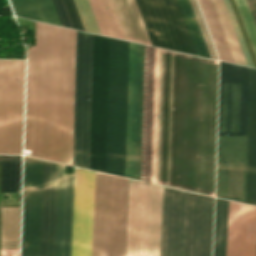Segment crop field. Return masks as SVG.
<instances>
[{
  "label": "crop field",
  "instance_id": "5a996713",
  "mask_svg": "<svg viewBox=\"0 0 256 256\" xmlns=\"http://www.w3.org/2000/svg\"><path fill=\"white\" fill-rule=\"evenodd\" d=\"M163 187L130 179L126 256H159Z\"/></svg>",
  "mask_w": 256,
  "mask_h": 256
},
{
  "label": "crop field",
  "instance_id": "cbeb9de0",
  "mask_svg": "<svg viewBox=\"0 0 256 256\" xmlns=\"http://www.w3.org/2000/svg\"><path fill=\"white\" fill-rule=\"evenodd\" d=\"M92 34L77 31L73 165L88 169Z\"/></svg>",
  "mask_w": 256,
  "mask_h": 256
},
{
  "label": "crop field",
  "instance_id": "730fd06b",
  "mask_svg": "<svg viewBox=\"0 0 256 256\" xmlns=\"http://www.w3.org/2000/svg\"><path fill=\"white\" fill-rule=\"evenodd\" d=\"M256 55V28L245 0H235Z\"/></svg>",
  "mask_w": 256,
  "mask_h": 256
},
{
  "label": "crop field",
  "instance_id": "d8731c3e",
  "mask_svg": "<svg viewBox=\"0 0 256 256\" xmlns=\"http://www.w3.org/2000/svg\"><path fill=\"white\" fill-rule=\"evenodd\" d=\"M128 42L110 38L106 172L124 177Z\"/></svg>",
  "mask_w": 256,
  "mask_h": 256
},
{
  "label": "crop field",
  "instance_id": "dd49c442",
  "mask_svg": "<svg viewBox=\"0 0 256 256\" xmlns=\"http://www.w3.org/2000/svg\"><path fill=\"white\" fill-rule=\"evenodd\" d=\"M152 44L209 57L188 0H136Z\"/></svg>",
  "mask_w": 256,
  "mask_h": 256
},
{
  "label": "crop field",
  "instance_id": "e52e79f7",
  "mask_svg": "<svg viewBox=\"0 0 256 256\" xmlns=\"http://www.w3.org/2000/svg\"><path fill=\"white\" fill-rule=\"evenodd\" d=\"M129 179L96 172L92 256H125Z\"/></svg>",
  "mask_w": 256,
  "mask_h": 256
},
{
  "label": "crop field",
  "instance_id": "4a817a6b",
  "mask_svg": "<svg viewBox=\"0 0 256 256\" xmlns=\"http://www.w3.org/2000/svg\"><path fill=\"white\" fill-rule=\"evenodd\" d=\"M74 3L85 31L124 39L109 0H89L101 33L88 0H74Z\"/></svg>",
  "mask_w": 256,
  "mask_h": 256
},
{
  "label": "crop field",
  "instance_id": "92a150f3",
  "mask_svg": "<svg viewBox=\"0 0 256 256\" xmlns=\"http://www.w3.org/2000/svg\"><path fill=\"white\" fill-rule=\"evenodd\" d=\"M19 17L60 25L51 0H11Z\"/></svg>",
  "mask_w": 256,
  "mask_h": 256
},
{
  "label": "crop field",
  "instance_id": "00972430",
  "mask_svg": "<svg viewBox=\"0 0 256 256\" xmlns=\"http://www.w3.org/2000/svg\"><path fill=\"white\" fill-rule=\"evenodd\" d=\"M212 1L215 6L216 12L218 14L219 20L221 22L222 28L224 30L225 36L227 38V41L230 46L235 62L238 64L248 66L245 60L244 54L242 52L241 46L239 44L238 38L236 36L235 30L233 28L232 22L230 20L229 14L227 12L224 1L223 0H212Z\"/></svg>",
  "mask_w": 256,
  "mask_h": 256
},
{
  "label": "crop field",
  "instance_id": "eef30255",
  "mask_svg": "<svg viewBox=\"0 0 256 256\" xmlns=\"http://www.w3.org/2000/svg\"><path fill=\"white\" fill-rule=\"evenodd\" d=\"M191 7L193 9L194 15L196 17L197 23L199 25L200 31L202 33L203 39L205 41L206 47L208 49L209 55L212 59H216V56L214 54L213 48L211 46L210 40L208 38L207 32L205 30L204 24L202 22L201 16L199 14L198 8L196 6L195 0H189ZM217 60V59H216Z\"/></svg>",
  "mask_w": 256,
  "mask_h": 256
},
{
  "label": "crop field",
  "instance_id": "dafd665d",
  "mask_svg": "<svg viewBox=\"0 0 256 256\" xmlns=\"http://www.w3.org/2000/svg\"><path fill=\"white\" fill-rule=\"evenodd\" d=\"M218 51L223 61L234 62L211 0H198Z\"/></svg>",
  "mask_w": 256,
  "mask_h": 256
},
{
  "label": "crop field",
  "instance_id": "412701ff",
  "mask_svg": "<svg viewBox=\"0 0 256 256\" xmlns=\"http://www.w3.org/2000/svg\"><path fill=\"white\" fill-rule=\"evenodd\" d=\"M249 68L221 62L217 196L245 203ZM226 133H229L228 136Z\"/></svg>",
  "mask_w": 256,
  "mask_h": 256
},
{
  "label": "crop field",
  "instance_id": "4177f3b9",
  "mask_svg": "<svg viewBox=\"0 0 256 256\" xmlns=\"http://www.w3.org/2000/svg\"><path fill=\"white\" fill-rule=\"evenodd\" d=\"M53 3L62 26L84 31L72 0H53Z\"/></svg>",
  "mask_w": 256,
  "mask_h": 256
},
{
  "label": "crop field",
  "instance_id": "d1516ede",
  "mask_svg": "<svg viewBox=\"0 0 256 256\" xmlns=\"http://www.w3.org/2000/svg\"><path fill=\"white\" fill-rule=\"evenodd\" d=\"M160 49L145 45L141 180L156 183Z\"/></svg>",
  "mask_w": 256,
  "mask_h": 256
},
{
  "label": "crop field",
  "instance_id": "3316defc",
  "mask_svg": "<svg viewBox=\"0 0 256 256\" xmlns=\"http://www.w3.org/2000/svg\"><path fill=\"white\" fill-rule=\"evenodd\" d=\"M109 38L93 34L89 169L105 172Z\"/></svg>",
  "mask_w": 256,
  "mask_h": 256
},
{
  "label": "crop field",
  "instance_id": "a9b5d70f",
  "mask_svg": "<svg viewBox=\"0 0 256 256\" xmlns=\"http://www.w3.org/2000/svg\"><path fill=\"white\" fill-rule=\"evenodd\" d=\"M228 201L217 198L214 256H225Z\"/></svg>",
  "mask_w": 256,
  "mask_h": 256
},
{
  "label": "crop field",
  "instance_id": "ae1a2a85",
  "mask_svg": "<svg viewBox=\"0 0 256 256\" xmlns=\"http://www.w3.org/2000/svg\"><path fill=\"white\" fill-rule=\"evenodd\" d=\"M256 25V0H246Z\"/></svg>",
  "mask_w": 256,
  "mask_h": 256
},
{
  "label": "crop field",
  "instance_id": "bc2a9ffb",
  "mask_svg": "<svg viewBox=\"0 0 256 256\" xmlns=\"http://www.w3.org/2000/svg\"><path fill=\"white\" fill-rule=\"evenodd\" d=\"M250 68L246 203L256 205V69Z\"/></svg>",
  "mask_w": 256,
  "mask_h": 256
},
{
  "label": "crop field",
  "instance_id": "34b2d1b8",
  "mask_svg": "<svg viewBox=\"0 0 256 256\" xmlns=\"http://www.w3.org/2000/svg\"><path fill=\"white\" fill-rule=\"evenodd\" d=\"M65 165L25 157L23 194L22 256H38L41 189L43 190L39 256H70L74 174H65Z\"/></svg>",
  "mask_w": 256,
  "mask_h": 256
},
{
  "label": "crop field",
  "instance_id": "f4fd0767",
  "mask_svg": "<svg viewBox=\"0 0 256 256\" xmlns=\"http://www.w3.org/2000/svg\"><path fill=\"white\" fill-rule=\"evenodd\" d=\"M214 198L164 187L160 256H211Z\"/></svg>",
  "mask_w": 256,
  "mask_h": 256
},
{
  "label": "crop field",
  "instance_id": "28ad6ade",
  "mask_svg": "<svg viewBox=\"0 0 256 256\" xmlns=\"http://www.w3.org/2000/svg\"><path fill=\"white\" fill-rule=\"evenodd\" d=\"M23 76L24 61L0 60V153L21 154Z\"/></svg>",
  "mask_w": 256,
  "mask_h": 256
},
{
  "label": "crop field",
  "instance_id": "d9b57169",
  "mask_svg": "<svg viewBox=\"0 0 256 256\" xmlns=\"http://www.w3.org/2000/svg\"><path fill=\"white\" fill-rule=\"evenodd\" d=\"M21 156L2 155L1 192H20ZM20 207L1 208V248H18ZM1 256H18V249H1Z\"/></svg>",
  "mask_w": 256,
  "mask_h": 256
},
{
  "label": "crop field",
  "instance_id": "214f88e0",
  "mask_svg": "<svg viewBox=\"0 0 256 256\" xmlns=\"http://www.w3.org/2000/svg\"><path fill=\"white\" fill-rule=\"evenodd\" d=\"M110 1L124 38L152 45L135 0Z\"/></svg>",
  "mask_w": 256,
  "mask_h": 256
},
{
  "label": "crop field",
  "instance_id": "733c2abd",
  "mask_svg": "<svg viewBox=\"0 0 256 256\" xmlns=\"http://www.w3.org/2000/svg\"><path fill=\"white\" fill-rule=\"evenodd\" d=\"M226 256H256V207L229 201Z\"/></svg>",
  "mask_w": 256,
  "mask_h": 256
},
{
  "label": "crop field",
  "instance_id": "5142ce71",
  "mask_svg": "<svg viewBox=\"0 0 256 256\" xmlns=\"http://www.w3.org/2000/svg\"><path fill=\"white\" fill-rule=\"evenodd\" d=\"M95 172L76 169L72 254L91 256Z\"/></svg>",
  "mask_w": 256,
  "mask_h": 256
},
{
  "label": "crop field",
  "instance_id": "ac0d7876",
  "mask_svg": "<svg viewBox=\"0 0 256 256\" xmlns=\"http://www.w3.org/2000/svg\"><path fill=\"white\" fill-rule=\"evenodd\" d=\"M76 31L36 22L27 49L25 149L72 165Z\"/></svg>",
  "mask_w": 256,
  "mask_h": 256
},
{
  "label": "crop field",
  "instance_id": "8a807250",
  "mask_svg": "<svg viewBox=\"0 0 256 256\" xmlns=\"http://www.w3.org/2000/svg\"><path fill=\"white\" fill-rule=\"evenodd\" d=\"M217 77L218 61L161 49L157 183L214 196Z\"/></svg>",
  "mask_w": 256,
  "mask_h": 256
},
{
  "label": "crop field",
  "instance_id": "22f410ed",
  "mask_svg": "<svg viewBox=\"0 0 256 256\" xmlns=\"http://www.w3.org/2000/svg\"><path fill=\"white\" fill-rule=\"evenodd\" d=\"M144 45L129 42L125 177L140 180Z\"/></svg>",
  "mask_w": 256,
  "mask_h": 256
}]
</instances>
